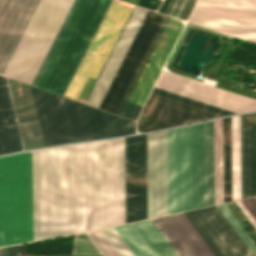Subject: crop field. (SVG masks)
<instances>
[{
	"instance_id": "obj_1",
	"label": "crop field",
	"mask_w": 256,
	"mask_h": 256,
	"mask_svg": "<svg viewBox=\"0 0 256 256\" xmlns=\"http://www.w3.org/2000/svg\"><path fill=\"white\" fill-rule=\"evenodd\" d=\"M88 231L125 223L124 138L87 143ZM86 143L33 152L34 241L87 231ZM33 241L32 152L0 157V247Z\"/></svg>"
},
{
	"instance_id": "obj_2",
	"label": "crop field",
	"mask_w": 256,
	"mask_h": 256,
	"mask_svg": "<svg viewBox=\"0 0 256 256\" xmlns=\"http://www.w3.org/2000/svg\"><path fill=\"white\" fill-rule=\"evenodd\" d=\"M169 214L214 204L213 120L168 130Z\"/></svg>"
},
{
	"instance_id": "obj_3",
	"label": "crop field",
	"mask_w": 256,
	"mask_h": 256,
	"mask_svg": "<svg viewBox=\"0 0 256 256\" xmlns=\"http://www.w3.org/2000/svg\"><path fill=\"white\" fill-rule=\"evenodd\" d=\"M147 218L168 214L167 130L146 134ZM145 134L125 138L126 223L146 218Z\"/></svg>"
},
{
	"instance_id": "obj_4",
	"label": "crop field",
	"mask_w": 256,
	"mask_h": 256,
	"mask_svg": "<svg viewBox=\"0 0 256 256\" xmlns=\"http://www.w3.org/2000/svg\"><path fill=\"white\" fill-rule=\"evenodd\" d=\"M80 0H75L32 86L36 87ZM111 0H81L37 87L63 96Z\"/></svg>"
},
{
	"instance_id": "obj_5",
	"label": "crop field",
	"mask_w": 256,
	"mask_h": 256,
	"mask_svg": "<svg viewBox=\"0 0 256 256\" xmlns=\"http://www.w3.org/2000/svg\"><path fill=\"white\" fill-rule=\"evenodd\" d=\"M73 0H41L3 76L31 85Z\"/></svg>"
},
{
	"instance_id": "obj_6",
	"label": "crop field",
	"mask_w": 256,
	"mask_h": 256,
	"mask_svg": "<svg viewBox=\"0 0 256 256\" xmlns=\"http://www.w3.org/2000/svg\"><path fill=\"white\" fill-rule=\"evenodd\" d=\"M132 8H133L132 5L130 7H127V6L120 4L118 1L112 0L97 32L95 33L81 63L79 64V66H78V68H77L65 94H64V97L68 98L69 96H72V97L80 98V99H82L81 102L85 103V101H86L108 55L110 54Z\"/></svg>"
},
{
	"instance_id": "obj_7",
	"label": "crop field",
	"mask_w": 256,
	"mask_h": 256,
	"mask_svg": "<svg viewBox=\"0 0 256 256\" xmlns=\"http://www.w3.org/2000/svg\"><path fill=\"white\" fill-rule=\"evenodd\" d=\"M31 88L45 146L92 139L83 104Z\"/></svg>"
},
{
	"instance_id": "obj_8",
	"label": "crop field",
	"mask_w": 256,
	"mask_h": 256,
	"mask_svg": "<svg viewBox=\"0 0 256 256\" xmlns=\"http://www.w3.org/2000/svg\"><path fill=\"white\" fill-rule=\"evenodd\" d=\"M184 214L216 256H230L196 210ZM184 214L151 221L178 256H215Z\"/></svg>"
},
{
	"instance_id": "obj_9",
	"label": "crop field",
	"mask_w": 256,
	"mask_h": 256,
	"mask_svg": "<svg viewBox=\"0 0 256 256\" xmlns=\"http://www.w3.org/2000/svg\"><path fill=\"white\" fill-rule=\"evenodd\" d=\"M256 8V0H233ZM229 0H199L190 22L256 42V9Z\"/></svg>"
},
{
	"instance_id": "obj_10",
	"label": "crop field",
	"mask_w": 256,
	"mask_h": 256,
	"mask_svg": "<svg viewBox=\"0 0 256 256\" xmlns=\"http://www.w3.org/2000/svg\"><path fill=\"white\" fill-rule=\"evenodd\" d=\"M165 15L148 11L100 109L117 114Z\"/></svg>"
},
{
	"instance_id": "obj_11",
	"label": "crop field",
	"mask_w": 256,
	"mask_h": 256,
	"mask_svg": "<svg viewBox=\"0 0 256 256\" xmlns=\"http://www.w3.org/2000/svg\"><path fill=\"white\" fill-rule=\"evenodd\" d=\"M155 87L237 113L256 110V100L164 71Z\"/></svg>"
},
{
	"instance_id": "obj_12",
	"label": "crop field",
	"mask_w": 256,
	"mask_h": 256,
	"mask_svg": "<svg viewBox=\"0 0 256 256\" xmlns=\"http://www.w3.org/2000/svg\"><path fill=\"white\" fill-rule=\"evenodd\" d=\"M39 0H0V74L17 46Z\"/></svg>"
},
{
	"instance_id": "obj_13",
	"label": "crop field",
	"mask_w": 256,
	"mask_h": 256,
	"mask_svg": "<svg viewBox=\"0 0 256 256\" xmlns=\"http://www.w3.org/2000/svg\"><path fill=\"white\" fill-rule=\"evenodd\" d=\"M182 27L180 20L170 18L129 102L143 107Z\"/></svg>"
},
{
	"instance_id": "obj_14",
	"label": "crop field",
	"mask_w": 256,
	"mask_h": 256,
	"mask_svg": "<svg viewBox=\"0 0 256 256\" xmlns=\"http://www.w3.org/2000/svg\"><path fill=\"white\" fill-rule=\"evenodd\" d=\"M222 116L151 93L141 117L170 126Z\"/></svg>"
},
{
	"instance_id": "obj_15",
	"label": "crop field",
	"mask_w": 256,
	"mask_h": 256,
	"mask_svg": "<svg viewBox=\"0 0 256 256\" xmlns=\"http://www.w3.org/2000/svg\"><path fill=\"white\" fill-rule=\"evenodd\" d=\"M147 10L135 7L112 55L110 56L87 105L99 108L122 60L124 59Z\"/></svg>"
},
{
	"instance_id": "obj_16",
	"label": "crop field",
	"mask_w": 256,
	"mask_h": 256,
	"mask_svg": "<svg viewBox=\"0 0 256 256\" xmlns=\"http://www.w3.org/2000/svg\"><path fill=\"white\" fill-rule=\"evenodd\" d=\"M115 229L135 256H176L150 220Z\"/></svg>"
},
{
	"instance_id": "obj_17",
	"label": "crop field",
	"mask_w": 256,
	"mask_h": 256,
	"mask_svg": "<svg viewBox=\"0 0 256 256\" xmlns=\"http://www.w3.org/2000/svg\"><path fill=\"white\" fill-rule=\"evenodd\" d=\"M8 83L25 150L44 146L30 86L9 79Z\"/></svg>"
},
{
	"instance_id": "obj_18",
	"label": "crop field",
	"mask_w": 256,
	"mask_h": 256,
	"mask_svg": "<svg viewBox=\"0 0 256 256\" xmlns=\"http://www.w3.org/2000/svg\"><path fill=\"white\" fill-rule=\"evenodd\" d=\"M242 198L256 195V113L240 116Z\"/></svg>"
},
{
	"instance_id": "obj_19",
	"label": "crop field",
	"mask_w": 256,
	"mask_h": 256,
	"mask_svg": "<svg viewBox=\"0 0 256 256\" xmlns=\"http://www.w3.org/2000/svg\"><path fill=\"white\" fill-rule=\"evenodd\" d=\"M197 211L231 256H253L216 206Z\"/></svg>"
},
{
	"instance_id": "obj_20",
	"label": "crop field",
	"mask_w": 256,
	"mask_h": 256,
	"mask_svg": "<svg viewBox=\"0 0 256 256\" xmlns=\"http://www.w3.org/2000/svg\"><path fill=\"white\" fill-rule=\"evenodd\" d=\"M22 149L5 78L0 77V154Z\"/></svg>"
},
{
	"instance_id": "obj_21",
	"label": "crop field",
	"mask_w": 256,
	"mask_h": 256,
	"mask_svg": "<svg viewBox=\"0 0 256 256\" xmlns=\"http://www.w3.org/2000/svg\"><path fill=\"white\" fill-rule=\"evenodd\" d=\"M232 200L241 198L239 116L231 117Z\"/></svg>"
},
{
	"instance_id": "obj_22",
	"label": "crop field",
	"mask_w": 256,
	"mask_h": 256,
	"mask_svg": "<svg viewBox=\"0 0 256 256\" xmlns=\"http://www.w3.org/2000/svg\"><path fill=\"white\" fill-rule=\"evenodd\" d=\"M215 150L222 149V119L214 120ZM223 202L222 150L215 151V204Z\"/></svg>"
},
{
	"instance_id": "obj_23",
	"label": "crop field",
	"mask_w": 256,
	"mask_h": 256,
	"mask_svg": "<svg viewBox=\"0 0 256 256\" xmlns=\"http://www.w3.org/2000/svg\"><path fill=\"white\" fill-rule=\"evenodd\" d=\"M224 202L231 200L230 117L223 119Z\"/></svg>"
},
{
	"instance_id": "obj_24",
	"label": "crop field",
	"mask_w": 256,
	"mask_h": 256,
	"mask_svg": "<svg viewBox=\"0 0 256 256\" xmlns=\"http://www.w3.org/2000/svg\"><path fill=\"white\" fill-rule=\"evenodd\" d=\"M102 111V110H101ZM108 137L122 136L135 133V123L102 111Z\"/></svg>"
},
{
	"instance_id": "obj_25",
	"label": "crop field",
	"mask_w": 256,
	"mask_h": 256,
	"mask_svg": "<svg viewBox=\"0 0 256 256\" xmlns=\"http://www.w3.org/2000/svg\"><path fill=\"white\" fill-rule=\"evenodd\" d=\"M218 209L233 227V229L237 232L249 250L256 256V243L252 240V238L248 235L245 229L241 226V224L237 221L234 215L230 212V210L226 207L225 204L218 205Z\"/></svg>"
},
{
	"instance_id": "obj_26",
	"label": "crop field",
	"mask_w": 256,
	"mask_h": 256,
	"mask_svg": "<svg viewBox=\"0 0 256 256\" xmlns=\"http://www.w3.org/2000/svg\"><path fill=\"white\" fill-rule=\"evenodd\" d=\"M197 0H170L164 13L187 20Z\"/></svg>"
},
{
	"instance_id": "obj_27",
	"label": "crop field",
	"mask_w": 256,
	"mask_h": 256,
	"mask_svg": "<svg viewBox=\"0 0 256 256\" xmlns=\"http://www.w3.org/2000/svg\"><path fill=\"white\" fill-rule=\"evenodd\" d=\"M85 107L93 139L107 137L100 110L86 105Z\"/></svg>"
},
{
	"instance_id": "obj_28",
	"label": "crop field",
	"mask_w": 256,
	"mask_h": 256,
	"mask_svg": "<svg viewBox=\"0 0 256 256\" xmlns=\"http://www.w3.org/2000/svg\"><path fill=\"white\" fill-rule=\"evenodd\" d=\"M153 93L163 95V96H166V97L178 100V101H182V102L194 105V106H198V107H201V108L213 111V112H217V113H220V114H223V115L235 114L234 112H230V111H227V110H224V109H221V108H217V107L205 104V103H201V102H198V101H195V100H192V99H188V98H185V97H182V96H179V95H175V94H172V93H169V92H166V91H163V90H159V89H156V88H154Z\"/></svg>"
},
{
	"instance_id": "obj_29",
	"label": "crop field",
	"mask_w": 256,
	"mask_h": 256,
	"mask_svg": "<svg viewBox=\"0 0 256 256\" xmlns=\"http://www.w3.org/2000/svg\"><path fill=\"white\" fill-rule=\"evenodd\" d=\"M105 256H120L101 230L88 233Z\"/></svg>"
},
{
	"instance_id": "obj_30",
	"label": "crop field",
	"mask_w": 256,
	"mask_h": 256,
	"mask_svg": "<svg viewBox=\"0 0 256 256\" xmlns=\"http://www.w3.org/2000/svg\"><path fill=\"white\" fill-rule=\"evenodd\" d=\"M121 256H134L114 228L102 230Z\"/></svg>"
},
{
	"instance_id": "obj_31",
	"label": "crop field",
	"mask_w": 256,
	"mask_h": 256,
	"mask_svg": "<svg viewBox=\"0 0 256 256\" xmlns=\"http://www.w3.org/2000/svg\"><path fill=\"white\" fill-rule=\"evenodd\" d=\"M168 20H169V17L166 16V18H165V20H164V22H163V24H162V26H161L157 36H156V38H155V40H154V42H153L149 52H148V54H147V56H146V58H145V60H144V62L142 64V66H141V68H140V70H139V72H138V74H137V76H136V78H135V80H134V82H133V84H132V86H131L128 94H127V96H126V98H125L126 101H128V99H129V97H130V95H131V93H132V91H133V89H134V87H135V85H136V83H137V81H138V79H139V77H140V75H141V73H142L146 63H147V61H148V59L150 58V56H151V54H152V52H153V50H154V48H155V46L157 44V42H158L162 32H163V30H164Z\"/></svg>"
},
{
	"instance_id": "obj_32",
	"label": "crop field",
	"mask_w": 256,
	"mask_h": 256,
	"mask_svg": "<svg viewBox=\"0 0 256 256\" xmlns=\"http://www.w3.org/2000/svg\"><path fill=\"white\" fill-rule=\"evenodd\" d=\"M140 110H141V107H138L136 105H133L124 101L118 112V115L136 120Z\"/></svg>"
},
{
	"instance_id": "obj_33",
	"label": "crop field",
	"mask_w": 256,
	"mask_h": 256,
	"mask_svg": "<svg viewBox=\"0 0 256 256\" xmlns=\"http://www.w3.org/2000/svg\"><path fill=\"white\" fill-rule=\"evenodd\" d=\"M165 127H169V126L163 125V124L151 121V120H147V119H144L141 117L138 120V131H140V132L165 128Z\"/></svg>"
},
{
	"instance_id": "obj_34",
	"label": "crop field",
	"mask_w": 256,
	"mask_h": 256,
	"mask_svg": "<svg viewBox=\"0 0 256 256\" xmlns=\"http://www.w3.org/2000/svg\"><path fill=\"white\" fill-rule=\"evenodd\" d=\"M169 0H165V3L161 9V13H163L167 3H168ZM160 0H140L139 3H138V6H142V7H145V8H148V9H152V10H156L160 4Z\"/></svg>"
},
{
	"instance_id": "obj_35",
	"label": "crop field",
	"mask_w": 256,
	"mask_h": 256,
	"mask_svg": "<svg viewBox=\"0 0 256 256\" xmlns=\"http://www.w3.org/2000/svg\"><path fill=\"white\" fill-rule=\"evenodd\" d=\"M236 203L243 211V213L246 215V217L249 219V221L252 223V225L256 228V217L253 215V213L250 211V209L247 207L244 201L240 200L236 201Z\"/></svg>"
},
{
	"instance_id": "obj_36",
	"label": "crop field",
	"mask_w": 256,
	"mask_h": 256,
	"mask_svg": "<svg viewBox=\"0 0 256 256\" xmlns=\"http://www.w3.org/2000/svg\"><path fill=\"white\" fill-rule=\"evenodd\" d=\"M21 245L3 248V256H20Z\"/></svg>"
},
{
	"instance_id": "obj_37",
	"label": "crop field",
	"mask_w": 256,
	"mask_h": 256,
	"mask_svg": "<svg viewBox=\"0 0 256 256\" xmlns=\"http://www.w3.org/2000/svg\"><path fill=\"white\" fill-rule=\"evenodd\" d=\"M244 201L248 205V207L251 209V211L254 213V215L256 216V197L250 198V199H245Z\"/></svg>"
},
{
	"instance_id": "obj_38",
	"label": "crop field",
	"mask_w": 256,
	"mask_h": 256,
	"mask_svg": "<svg viewBox=\"0 0 256 256\" xmlns=\"http://www.w3.org/2000/svg\"><path fill=\"white\" fill-rule=\"evenodd\" d=\"M0 256H2V248H0Z\"/></svg>"
}]
</instances>
